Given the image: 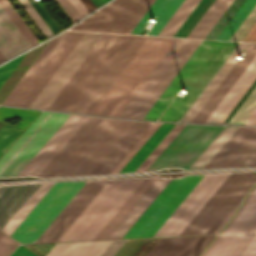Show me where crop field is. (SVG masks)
<instances>
[{
  "instance_id": "214f88e0",
  "label": "crop field",
  "mask_w": 256,
  "mask_h": 256,
  "mask_svg": "<svg viewBox=\"0 0 256 256\" xmlns=\"http://www.w3.org/2000/svg\"><path fill=\"white\" fill-rule=\"evenodd\" d=\"M87 118L70 115L17 176H37Z\"/></svg>"
},
{
  "instance_id": "f4fd0767",
  "label": "crop field",
  "mask_w": 256,
  "mask_h": 256,
  "mask_svg": "<svg viewBox=\"0 0 256 256\" xmlns=\"http://www.w3.org/2000/svg\"><path fill=\"white\" fill-rule=\"evenodd\" d=\"M149 0H113L70 29L125 33ZM183 0H150L126 33L140 34L150 18L158 21L148 34L157 35Z\"/></svg>"
},
{
  "instance_id": "4a817a6b",
  "label": "crop field",
  "mask_w": 256,
  "mask_h": 256,
  "mask_svg": "<svg viewBox=\"0 0 256 256\" xmlns=\"http://www.w3.org/2000/svg\"><path fill=\"white\" fill-rule=\"evenodd\" d=\"M256 165V127H239L204 168Z\"/></svg>"
},
{
  "instance_id": "b54c1fbb",
  "label": "crop field",
  "mask_w": 256,
  "mask_h": 256,
  "mask_svg": "<svg viewBox=\"0 0 256 256\" xmlns=\"http://www.w3.org/2000/svg\"><path fill=\"white\" fill-rule=\"evenodd\" d=\"M222 0H215L187 37L194 38Z\"/></svg>"
},
{
  "instance_id": "d3111659",
  "label": "crop field",
  "mask_w": 256,
  "mask_h": 256,
  "mask_svg": "<svg viewBox=\"0 0 256 256\" xmlns=\"http://www.w3.org/2000/svg\"><path fill=\"white\" fill-rule=\"evenodd\" d=\"M154 179L155 178L143 180V182L127 199V201L122 205V207L117 211V213L106 224V226L101 230V232L96 236L94 240L104 239L106 237V235L112 230V228L117 224V222L123 217V215L129 210V208L135 203V201L141 196V194L146 190V188L152 183Z\"/></svg>"
},
{
  "instance_id": "92a150f3",
  "label": "crop field",
  "mask_w": 256,
  "mask_h": 256,
  "mask_svg": "<svg viewBox=\"0 0 256 256\" xmlns=\"http://www.w3.org/2000/svg\"><path fill=\"white\" fill-rule=\"evenodd\" d=\"M214 236L161 238L147 256H199Z\"/></svg>"
},
{
  "instance_id": "00972430",
  "label": "crop field",
  "mask_w": 256,
  "mask_h": 256,
  "mask_svg": "<svg viewBox=\"0 0 256 256\" xmlns=\"http://www.w3.org/2000/svg\"><path fill=\"white\" fill-rule=\"evenodd\" d=\"M171 178H156L105 239L122 238Z\"/></svg>"
},
{
  "instance_id": "5142ce71",
  "label": "crop field",
  "mask_w": 256,
  "mask_h": 256,
  "mask_svg": "<svg viewBox=\"0 0 256 256\" xmlns=\"http://www.w3.org/2000/svg\"><path fill=\"white\" fill-rule=\"evenodd\" d=\"M52 184L0 186V228L10 236Z\"/></svg>"
},
{
  "instance_id": "d32e631a",
  "label": "crop field",
  "mask_w": 256,
  "mask_h": 256,
  "mask_svg": "<svg viewBox=\"0 0 256 256\" xmlns=\"http://www.w3.org/2000/svg\"><path fill=\"white\" fill-rule=\"evenodd\" d=\"M213 0H201L174 36L186 37Z\"/></svg>"
},
{
  "instance_id": "028f5c9d",
  "label": "crop field",
  "mask_w": 256,
  "mask_h": 256,
  "mask_svg": "<svg viewBox=\"0 0 256 256\" xmlns=\"http://www.w3.org/2000/svg\"><path fill=\"white\" fill-rule=\"evenodd\" d=\"M185 125H175L135 172L145 171Z\"/></svg>"
},
{
  "instance_id": "0bd39190",
  "label": "crop field",
  "mask_w": 256,
  "mask_h": 256,
  "mask_svg": "<svg viewBox=\"0 0 256 256\" xmlns=\"http://www.w3.org/2000/svg\"><path fill=\"white\" fill-rule=\"evenodd\" d=\"M256 108V88L246 99L229 123L244 124Z\"/></svg>"
},
{
  "instance_id": "73cf0c24",
  "label": "crop field",
  "mask_w": 256,
  "mask_h": 256,
  "mask_svg": "<svg viewBox=\"0 0 256 256\" xmlns=\"http://www.w3.org/2000/svg\"><path fill=\"white\" fill-rule=\"evenodd\" d=\"M60 5L63 7V9L67 12V14L70 16V18L73 20V22H77L79 19H81L80 15L77 13V11L74 9V7L71 5V3L68 0H57Z\"/></svg>"
},
{
  "instance_id": "1f2cbd36",
  "label": "crop field",
  "mask_w": 256,
  "mask_h": 256,
  "mask_svg": "<svg viewBox=\"0 0 256 256\" xmlns=\"http://www.w3.org/2000/svg\"><path fill=\"white\" fill-rule=\"evenodd\" d=\"M126 240H113L100 256H113Z\"/></svg>"
},
{
  "instance_id": "db79e9e6",
  "label": "crop field",
  "mask_w": 256,
  "mask_h": 256,
  "mask_svg": "<svg viewBox=\"0 0 256 256\" xmlns=\"http://www.w3.org/2000/svg\"><path fill=\"white\" fill-rule=\"evenodd\" d=\"M92 1H93V3L96 5L97 8L103 4V3L101 2V0H92Z\"/></svg>"
},
{
  "instance_id": "1d79db26",
  "label": "crop field",
  "mask_w": 256,
  "mask_h": 256,
  "mask_svg": "<svg viewBox=\"0 0 256 256\" xmlns=\"http://www.w3.org/2000/svg\"><path fill=\"white\" fill-rule=\"evenodd\" d=\"M241 41H253L256 42V22L250 28V30L246 33Z\"/></svg>"
},
{
  "instance_id": "22f410ed",
  "label": "crop field",
  "mask_w": 256,
  "mask_h": 256,
  "mask_svg": "<svg viewBox=\"0 0 256 256\" xmlns=\"http://www.w3.org/2000/svg\"><path fill=\"white\" fill-rule=\"evenodd\" d=\"M202 176L171 180L123 238L152 236Z\"/></svg>"
},
{
  "instance_id": "e1f06a70",
  "label": "crop field",
  "mask_w": 256,
  "mask_h": 256,
  "mask_svg": "<svg viewBox=\"0 0 256 256\" xmlns=\"http://www.w3.org/2000/svg\"><path fill=\"white\" fill-rule=\"evenodd\" d=\"M245 0H234L206 38L216 39Z\"/></svg>"
},
{
  "instance_id": "9d1cf04e",
  "label": "crop field",
  "mask_w": 256,
  "mask_h": 256,
  "mask_svg": "<svg viewBox=\"0 0 256 256\" xmlns=\"http://www.w3.org/2000/svg\"><path fill=\"white\" fill-rule=\"evenodd\" d=\"M10 256H35V255L19 245Z\"/></svg>"
},
{
  "instance_id": "28ad6ade",
  "label": "crop field",
  "mask_w": 256,
  "mask_h": 256,
  "mask_svg": "<svg viewBox=\"0 0 256 256\" xmlns=\"http://www.w3.org/2000/svg\"><path fill=\"white\" fill-rule=\"evenodd\" d=\"M83 184L54 183L10 237L21 243H35Z\"/></svg>"
},
{
  "instance_id": "cbeb9de0",
  "label": "crop field",
  "mask_w": 256,
  "mask_h": 256,
  "mask_svg": "<svg viewBox=\"0 0 256 256\" xmlns=\"http://www.w3.org/2000/svg\"><path fill=\"white\" fill-rule=\"evenodd\" d=\"M256 230V186L202 256H238Z\"/></svg>"
},
{
  "instance_id": "5866460e",
  "label": "crop field",
  "mask_w": 256,
  "mask_h": 256,
  "mask_svg": "<svg viewBox=\"0 0 256 256\" xmlns=\"http://www.w3.org/2000/svg\"><path fill=\"white\" fill-rule=\"evenodd\" d=\"M0 4L10 16V18L13 20V22L16 24V26L19 28V30L22 32V34L25 36V38L28 40V42L31 44V46L37 44L36 37L33 35V33L30 31V29L27 27V25L24 23V21L18 15V13L9 3V1L0 0Z\"/></svg>"
},
{
  "instance_id": "0fb4a251",
  "label": "crop field",
  "mask_w": 256,
  "mask_h": 256,
  "mask_svg": "<svg viewBox=\"0 0 256 256\" xmlns=\"http://www.w3.org/2000/svg\"><path fill=\"white\" fill-rule=\"evenodd\" d=\"M69 1L72 3V5L75 7V9L78 11V13L81 15L82 18L85 17L87 14H89L79 0H69Z\"/></svg>"
},
{
  "instance_id": "750c4746",
  "label": "crop field",
  "mask_w": 256,
  "mask_h": 256,
  "mask_svg": "<svg viewBox=\"0 0 256 256\" xmlns=\"http://www.w3.org/2000/svg\"><path fill=\"white\" fill-rule=\"evenodd\" d=\"M199 0H184L158 35L173 36Z\"/></svg>"
},
{
  "instance_id": "5d738f31",
  "label": "crop field",
  "mask_w": 256,
  "mask_h": 256,
  "mask_svg": "<svg viewBox=\"0 0 256 256\" xmlns=\"http://www.w3.org/2000/svg\"><path fill=\"white\" fill-rule=\"evenodd\" d=\"M24 55L25 54L0 66V86L3 84V82L6 80V78L9 76V74L16 67V65L19 63V61L22 59Z\"/></svg>"
},
{
  "instance_id": "b80d0937",
  "label": "crop field",
  "mask_w": 256,
  "mask_h": 256,
  "mask_svg": "<svg viewBox=\"0 0 256 256\" xmlns=\"http://www.w3.org/2000/svg\"><path fill=\"white\" fill-rule=\"evenodd\" d=\"M160 124L161 123H154L110 173H119L121 169L127 164V162L134 156V154L140 149V147L146 142V140L159 127Z\"/></svg>"
},
{
  "instance_id": "dbb93151",
  "label": "crop field",
  "mask_w": 256,
  "mask_h": 256,
  "mask_svg": "<svg viewBox=\"0 0 256 256\" xmlns=\"http://www.w3.org/2000/svg\"><path fill=\"white\" fill-rule=\"evenodd\" d=\"M0 56L3 58V60H7L10 57L14 56L1 38H0ZM1 57H0V62L3 61Z\"/></svg>"
},
{
  "instance_id": "7b73153f",
  "label": "crop field",
  "mask_w": 256,
  "mask_h": 256,
  "mask_svg": "<svg viewBox=\"0 0 256 256\" xmlns=\"http://www.w3.org/2000/svg\"><path fill=\"white\" fill-rule=\"evenodd\" d=\"M106 1H108V0H102L103 3L106 2Z\"/></svg>"
},
{
  "instance_id": "c21b1889",
  "label": "crop field",
  "mask_w": 256,
  "mask_h": 256,
  "mask_svg": "<svg viewBox=\"0 0 256 256\" xmlns=\"http://www.w3.org/2000/svg\"><path fill=\"white\" fill-rule=\"evenodd\" d=\"M232 1L233 0H223L195 38H205Z\"/></svg>"
},
{
  "instance_id": "eef30255",
  "label": "crop field",
  "mask_w": 256,
  "mask_h": 256,
  "mask_svg": "<svg viewBox=\"0 0 256 256\" xmlns=\"http://www.w3.org/2000/svg\"><path fill=\"white\" fill-rule=\"evenodd\" d=\"M0 36L14 55L31 47L0 6Z\"/></svg>"
},
{
  "instance_id": "730fd06b",
  "label": "crop field",
  "mask_w": 256,
  "mask_h": 256,
  "mask_svg": "<svg viewBox=\"0 0 256 256\" xmlns=\"http://www.w3.org/2000/svg\"><path fill=\"white\" fill-rule=\"evenodd\" d=\"M111 241L55 244L46 256H99Z\"/></svg>"
},
{
  "instance_id": "d1516ede",
  "label": "crop field",
  "mask_w": 256,
  "mask_h": 256,
  "mask_svg": "<svg viewBox=\"0 0 256 256\" xmlns=\"http://www.w3.org/2000/svg\"><path fill=\"white\" fill-rule=\"evenodd\" d=\"M223 126L187 124L146 171L189 167Z\"/></svg>"
},
{
  "instance_id": "bc2a9ffb",
  "label": "crop field",
  "mask_w": 256,
  "mask_h": 256,
  "mask_svg": "<svg viewBox=\"0 0 256 256\" xmlns=\"http://www.w3.org/2000/svg\"><path fill=\"white\" fill-rule=\"evenodd\" d=\"M256 86V55L205 122L226 123Z\"/></svg>"
},
{
  "instance_id": "25e5ab78",
  "label": "crop field",
  "mask_w": 256,
  "mask_h": 256,
  "mask_svg": "<svg viewBox=\"0 0 256 256\" xmlns=\"http://www.w3.org/2000/svg\"><path fill=\"white\" fill-rule=\"evenodd\" d=\"M28 1L31 3V5L34 7V9L37 11V13L40 15V17L43 19V21L46 23V25L52 31V33L53 34L57 33L58 32L57 28L54 26V24L51 22V20L45 14V12L42 10V8L34 0H28Z\"/></svg>"
},
{
  "instance_id": "8a807250",
  "label": "crop field",
  "mask_w": 256,
  "mask_h": 256,
  "mask_svg": "<svg viewBox=\"0 0 256 256\" xmlns=\"http://www.w3.org/2000/svg\"><path fill=\"white\" fill-rule=\"evenodd\" d=\"M145 37L104 34L48 109L89 113Z\"/></svg>"
},
{
  "instance_id": "d23c7cc5",
  "label": "crop field",
  "mask_w": 256,
  "mask_h": 256,
  "mask_svg": "<svg viewBox=\"0 0 256 256\" xmlns=\"http://www.w3.org/2000/svg\"><path fill=\"white\" fill-rule=\"evenodd\" d=\"M255 20H256V6L253 8L250 14L246 17V19L243 21V23L240 25V27L237 29V31L234 33V35L231 37L230 40L240 41ZM244 23H248L245 29L242 31L241 34H236Z\"/></svg>"
},
{
  "instance_id": "34b2d1b8",
  "label": "crop field",
  "mask_w": 256,
  "mask_h": 256,
  "mask_svg": "<svg viewBox=\"0 0 256 256\" xmlns=\"http://www.w3.org/2000/svg\"><path fill=\"white\" fill-rule=\"evenodd\" d=\"M133 122L89 117L38 176L88 175Z\"/></svg>"
},
{
  "instance_id": "5a996713",
  "label": "crop field",
  "mask_w": 256,
  "mask_h": 256,
  "mask_svg": "<svg viewBox=\"0 0 256 256\" xmlns=\"http://www.w3.org/2000/svg\"><path fill=\"white\" fill-rule=\"evenodd\" d=\"M255 180L256 174L254 173H231L180 235L212 233ZM243 196L213 233H218L219 230L224 226V224L232 216Z\"/></svg>"
},
{
  "instance_id": "ac0d7876",
  "label": "crop field",
  "mask_w": 256,
  "mask_h": 256,
  "mask_svg": "<svg viewBox=\"0 0 256 256\" xmlns=\"http://www.w3.org/2000/svg\"><path fill=\"white\" fill-rule=\"evenodd\" d=\"M144 178L84 184L36 243L93 240Z\"/></svg>"
},
{
  "instance_id": "412701ff",
  "label": "crop field",
  "mask_w": 256,
  "mask_h": 256,
  "mask_svg": "<svg viewBox=\"0 0 256 256\" xmlns=\"http://www.w3.org/2000/svg\"><path fill=\"white\" fill-rule=\"evenodd\" d=\"M236 44L202 40L143 119L157 120L178 90L186 89L185 97L176 96L159 119L177 121Z\"/></svg>"
},
{
  "instance_id": "0765c3eb",
  "label": "crop field",
  "mask_w": 256,
  "mask_h": 256,
  "mask_svg": "<svg viewBox=\"0 0 256 256\" xmlns=\"http://www.w3.org/2000/svg\"><path fill=\"white\" fill-rule=\"evenodd\" d=\"M245 124L256 125V110L252 113V115L249 117Z\"/></svg>"
},
{
  "instance_id": "03da06ac",
  "label": "crop field",
  "mask_w": 256,
  "mask_h": 256,
  "mask_svg": "<svg viewBox=\"0 0 256 256\" xmlns=\"http://www.w3.org/2000/svg\"><path fill=\"white\" fill-rule=\"evenodd\" d=\"M19 1L30 14V16L34 19V21L37 23V25L40 27V29L43 31L46 37L48 38L51 35H53L51 31L48 29V27L45 25V23L42 21V19L39 17V15L36 13V11L33 9V7L30 5V3L27 0Z\"/></svg>"
},
{
  "instance_id": "3316defc",
  "label": "crop field",
  "mask_w": 256,
  "mask_h": 256,
  "mask_svg": "<svg viewBox=\"0 0 256 256\" xmlns=\"http://www.w3.org/2000/svg\"><path fill=\"white\" fill-rule=\"evenodd\" d=\"M69 115L42 111L0 160V176H16Z\"/></svg>"
},
{
  "instance_id": "bd1437ed",
  "label": "crop field",
  "mask_w": 256,
  "mask_h": 256,
  "mask_svg": "<svg viewBox=\"0 0 256 256\" xmlns=\"http://www.w3.org/2000/svg\"><path fill=\"white\" fill-rule=\"evenodd\" d=\"M237 128L238 127H224L220 134L211 142V144L202 152L190 167L204 166Z\"/></svg>"
},
{
  "instance_id": "d9b57169",
  "label": "crop field",
  "mask_w": 256,
  "mask_h": 256,
  "mask_svg": "<svg viewBox=\"0 0 256 256\" xmlns=\"http://www.w3.org/2000/svg\"><path fill=\"white\" fill-rule=\"evenodd\" d=\"M229 174L205 175L153 236L179 235Z\"/></svg>"
},
{
  "instance_id": "733c2abd",
  "label": "crop field",
  "mask_w": 256,
  "mask_h": 256,
  "mask_svg": "<svg viewBox=\"0 0 256 256\" xmlns=\"http://www.w3.org/2000/svg\"><path fill=\"white\" fill-rule=\"evenodd\" d=\"M102 35L85 32L29 107L47 109Z\"/></svg>"
},
{
  "instance_id": "a9b5d70f",
  "label": "crop field",
  "mask_w": 256,
  "mask_h": 256,
  "mask_svg": "<svg viewBox=\"0 0 256 256\" xmlns=\"http://www.w3.org/2000/svg\"><path fill=\"white\" fill-rule=\"evenodd\" d=\"M249 52L246 57L242 61H238L237 64L233 67L230 73L226 76V78L222 81L219 87L215 90V92L211 95L208 101L204 104V106L200 109L197 115L193 118V122H204L220 99L224 96L242 70L246 67L249 61L256 53V43H251L249 48L247 49Z\"/></svg>"
},
{
  "instance_id": "89e229c0",
  "label": "crop field",
  "mask_w": 256,
  "mask_h": 256,
  "mask_svg": "<svg viewBox=\"0 0 256 256\" xmlns=\"http://www.w3.org/2000/svg\"><path fill=\"white\" fill-rule=\"evenodd\" d=\"M239 256H256V232Z\"/></svg>"
},
{
  "instance_id": "447ae74e",
  "label": "crop field",
  "mask_w": 256,
  "mask_h": 256,
  "mask_svg": "<svg viewBox=\"0 0 256 256\" xmlns=\"http://www.w3.org/2000/svg\"><path fill=\"white\" fill-rule=\"evenodd\" d=\"M82 3H83V5L86 7V9L89 11V13L90 12H92V11H94L95 9H97L96 7H95V5L92 3V1L91 0H80Z\"/></svg>"
},
{
  "instance_id": "d8731c3e",
  "label": "crop field",
  "mask_w": 256,
  "mask_h": 256,
  "mask_svg": "<svg viewBox=\"0 0 256 256\" xmlns=\"http://www.w3.org/2000/svg\"><path fill=\"white\" fill-rule=\"evenodd\" d=\"M200 41L177 38L119 117L142 119Z\"/></svg>"
},
{
  "instance_id": "4177f3b9",
  "label": "crop field",
  "mask_w": 256,
  "mask_h": 256,
  "mask_svg": "<svg viewBox=\"0 0 256 256\" xmlns=\"http://www.w3.org/2000/svg\"><path fill=\"white\" fill-rule=\"evenodd\" d=\"M248 45L249 43L238 44V46L235 48L232 54L228 57V59L225 61L222 67L218 70V72L215 74L212 80L208 83V85L205 87L202 93L198 96V98L195 100L192 106L188 109V111L182 117L181 121L190 122L192 120V118L195 116V114L198 112V110L201 108L204 102L208 99V97L211 95V93L214 91V89L217 87L220 81L224 78V76L227 74V72L236 62L237 59L234 58L235 55L238 53L240 49L245 51Z\"/></svg>"
},
{
  "instance_id": "c035e120",
  "label": "crop field",
  "mask_w": 256,
  "mask_h": 256,
  "mask_svg": "<svg viewBox=\"0 0 256 256\" xmlns=\"http://www.w3.org/2000/svg\"><path fill=\"white\" fill-rule=\"evenodd\" d=\"M22 130L4 124L0 129V157L12 145V143L19 137Z\"/></svg>"
},
{
  "instance_id": "dafd665d",
  "label": "crop field",
  "mask_w": 256,
  "mask_h": 256,
  "mask_svg": "<svg viewBox=\"0 0 256 256\" xmlns=\"http://www.w3.org/2000/svg\"><path fill=\"white\" fill-rule=\"evenodd\" d=\"M151 124L135 121L89 175L109 173Z\"/></svg>"
},
{
  "instance_id": "425ffa30",
  "label": "crop field",
  "mask_w": 256,
  "mask_h": 256,
  "mask_svg": "<svg viewBox=\"0 0 256 256\" xmlns=\"http://www.w3.org/2000/svg\"><path fill=\"white\" fill-rule=\"evenodd\" d=\"M5 234L0 230V238L2 236H4ZM17 243L14 242L11 238H9L8 236H4L0 239V256H2L3 254H5L8 250H10L14 245H16ZM18 245V244H17ZM16 245V246H17ZM15 246V247H16ZM13 247L9 252H7L4 256H8L13 249L15 248Z\"/></svg>"
},
{
  "instance_id": "1d83c4d3",
  "label": "crop field",
  "mask_w": 256,
  "mask_h": 256,
  "mask_svg": "<svg viewBox=\"0 0 256 256\" xmlns=\"http://www.w3.org/2000/svg\"><path fill=\"white\" fill-rule=\"evenodd\" d=\"M255 4L256 0H246L217 39L229 40Z\"/></svg>"
},
{
  "instance_id": "120bbe31",
  "label": "crop field",
  "mask_w": 256,
  "mask_h": 256,
  "mask_svg": "<svg viewBox=\"0 0 256 256\" xmlns=\"http://www.w3.org/2000/svg\"><path fill=\"white\" fill-rule=\"evenodd\" d=\"M40 111L33 110H21V109H12L0 107V120L5 122L15 116L23 119L21 120L16 127L25 130L27 126L32 122V120L38 115Z\"/></svg>"
},
{
  "instance_id": "dd49c442",
  "label": "crop field",
  "mask_w": 256,
  "mask_h": 256,
  "mask_svg": "<svg viewBox=\"0 0 256 256\" xmlns=\"http://www.w3.org/2000/svg\"><path fill=\"white\" fill-rule=\"evenodd\" d=\"M175 39L147 36L90 113L117 117Z\"/></svg>"
},
{
  "instance_id": "ae1a2a85",
  "label": "crop field",
  "mask_w": 256,
  "mask_h": 256,
  "mask_svg": "<svg viewBox=\"0 0 256 256\" xmlns=\"http://www.w3.org/2000/svg\"><path fill=\"white\" fill-rule=\"evenodd\" d=\"M175 124L162 123L120 173L134 172Z\"/></svg>"
},
{
  "instance_id": "e52e79f7",
  "label": "crop field",
  "mask_w": 256,
  "mask_h": 256,
  "mask_svg": "<svg viewBox=\"0 0 256 256\" xmlns=\"http://www.w3.org/2000/svg\"><path fill=\"white\" fill-rule=\"evenodd\" d=\"M83 33L67 31L51 39L3 104L28 107Z\"/></svg>"
}]
</instances>
